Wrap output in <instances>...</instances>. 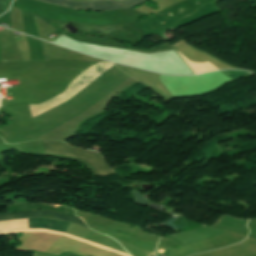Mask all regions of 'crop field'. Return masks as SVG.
Listing matches in <instances>:
<instances>
[{"mask_svg": "<svg viewBox=\"0 0 256 256\" xmlns=\"http://www.w3.org/2000/svg\"><path fill=\"white\" fill-rule=\"evenodd\" d=\"M45 154L75 157L88 162L100 175L112 173L104 159L98 153L73 148L64 142L42 141Z\"/></svg>", "mask_w": 256, "mask_h": 256, "instance_id": "1", "label": "crop field"}, {"mask_svg": "<svg viewBox=\"0 0 256 256\" xmlns=\"http://www.w3.org/2000/svg\"><path fill=\"white\" fill-rule=\"evenodd\" d=\"M50 4L74 8L76 10L106 11L116 9H127L134 7L147 0H41Z\"/></svg>", "mask_w": 256, "mask_h": 256, "instance_id": "2", "label": "crop field"}, {"mask_svg": "<svg viewBox=\"0 0 256 256\" xmlns=\"http://www.w3.org/2000/svg\"><path fill=\"white\" fill-rule=\"evenodd\" d=\"M28 217H52L58 220L71 221L82 226H86V224L78 217L75 216H66L59 213L54 212H45V211H33V212H20V213H10V214H2L0 215V220H10V219H21Z\"/></svg>", "mask_w": 256, "mask_h": 256, "instance_id": "3", "label": "crop field"}, {"mask_svg": "<svg viewBox=\"0 0 256 256\" xmlns=\"http://www.w3.org/2000/svg\"><path fill=\"white\" fill-rule=\"evenodd\" d=\"M72 225L73 223L59 222L43 218L27 219V228H47L51 230L66 232ZM24 228H26V219Z\"/></svg>", "mask_w": 256, "mask_h": 256, "instance_id": "4", "label": "crop field"}, {"mask_svg": "<svg viewBox=\"0 0 256 256\" xmlns=\"http://www.w3.org/2000/svg\"><path fill=\"white\" fill-rule=\"evenodd\" d=\"M225 74L237 79L240 77H243L245 75L251 74L249 72H244V71H223Z\"/></svg>", "mask_w": 256, "mask_h": 256, "instance_id": "5", "label": "crop field"}]
</instances>
